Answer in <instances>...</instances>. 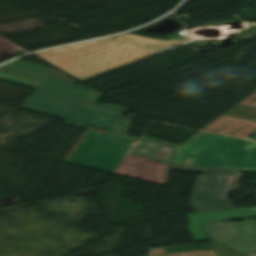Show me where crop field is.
Listing matches in <instances>:
<instances>
[{"label":"crop field","mask_w":256,"mask_h":256,"mask_svg":"<svg viewBox=\"0 0 256 256\" xmlns=\"http://www.w3.org/2000/svg\"><path fill=\"white\" fill-rule=\"evenodd\" d=\"M143 139L171 145L174 146V148L144 140L138 143L89 130L77 149L68 159V162L111 173H114L127 154L167 163L172 162L175 147L178 145L145 136H143Z\"/></svg>","instance_id":"obj_1"},{"label":"crop field","mask_w":256,"mask_h":256,"mask_svg":"<svg viewBox=\"0 0 256 256\" xmlns=\"http://www.w3.org/2000/svg\"><path fill=\"white\" fill-rule=\"evenodd\" d=\"M171 170L202 172L199 176L191 202L197 213L233 209L227 195L236 191L241 173L229 169L176 164Z\"/></svg>","instance_id":"obj_2"},{"label":"crop field","mask_w":256,"mask_h":256,"mask_svg":"<svg viewBox=\"0 0 256 256\" xmlns=\"http://www.w3.org/2000/svg\"><path fill=\"white\" fill-rule=\"evenodd\" d=\"M50 74V73H49ZM60 71L53 70L40 87L34 92L22 109L65 119L76 104L48 98L43 94L77 102L91 89L75 84L76 80L69 79Z\"/></svg>","instance_id":"obj_3"},{"label":"crop field","mask_w":256,"mask_h":256,"mask_svg":"<svg viewBox=\"0 0 256 256\" xmlns=\"http://www.w3.org/2000/svg\"><path fill=\"white\" fill-rule=\"evenodd\" d=\"M189 164L256 171V143L226 136Z\"/></svg>","instance_id":"obj_4"},{"label":"crop field","mask_w":256,"mask_h":256,"mask_svg":"<svg viewBox=\"0 0 256 256\" xmlns=\"http://www.w3.org/2000/svg\"><path fill=\"white\" fill-rule=\"evenodd\" d=\"M203 226L208 236L216 239L218 244L237 247L240 253L256 251V218L241 222L207 223Z\"/></svg>","instance_id":"obj_5"},{"label":"crop field","mask_w":256,"mask_h":256,"mask_svg":"<svg viewBox=\"0 0 256 256\" xmlns=\"http://www.w3.org/2000/svg\"><path fill=\"white\" fill-rule=\"evenodd\" d=\"M50 70L51 68L18 60L0 66V79L36 88Z\"/></svg>","instance_id":"obj_6"},{"label":"crop field","mask_w":256,"mask_h":256,"mask_svg":"<svg viewBox=\"0 0 256 256\" xmlns=\"http://www.w3.org/2000/svg\"><path fill=\"white\" fill-rule=\"evenodd\" d=\"M191 225L189 228L196 241L209 240L201 223L226 221L242 218H254L256 217V210L252 208L220 211L211 213H201L187 215Z\"/></svg>","instance_id":"obj_7"},{"label":"crop field","mask_w":256,"mask_h":256,"mask_svg":"<svg viewBox=\"0 0 256 256\" xmlns=\"http://www.w3.org/2000/svg\"><path fill=\"white\" fill-rule=\"evenodd\" d=\"M224 135L200 131L185 143L176 148L173 163L188 164Z\"/></svg>","instance_id":"obj_8"},{"label":"crop field","mask_w":256,"mask_h":256,"mask_svg":"<svg viewBox=\"0 0 256 256\" xmlns=\"http://www.w3.org/2000/svg\"><path fill=\"white\" fill-rule=\"evenodd\" d=\"M121 115L78 105L67 120L110 130L108 127Z\"/></svg>","instance_id":"obj_9"},{"label":"crop field","mask_w":256,"mask_h":256,"mask_svg":"<svg viewBox=\"0 0 256 256\" xmlns=\"http://www.w3.org/2000/svg\"><path fill=\"white\" fill-rule=\"evenodd\" d=\"M101 97H102V94H100L96 90L92 89L86 95V97L82 100L81 104L88 105V106L95 107V108H99V109L112 111V112H117V113H121V114H124L125 112L128 111V109L113 106V105H110V104L103 105V104L95 103Z\"/></svg>","instance_id":"obj_10"},{"label":"crop field","mask_w":256,"mask_h":256,"mask_svg":"<svg viewBox=\"0 0 256 256\" xmlns=\"http://www.w3.org/2000/svg\"><path fill=\"white\" fill-rule=\"evenodd\" d=\"M225 114L256 121V108L249 107V106L238 105L237 107L228 111Z\"/></svg>","instance_id":"obj_11"},{"label":"crop field","mask_w":256,"mask_h":256,"mask_svg":"<svg viewBox=\"0 0 256 256\" xmlns=\"http://www.w3.org/2000/svg\"><path fill=\"white\" fill-rule=\"evenodd\" d=\"M130 122L131 119L121 117L119 120L115 121L113 124L110 125V127H112L111 131L128 134Z\"/></svg>","instance_id":"obj_12"},{"label":"crop field","mask_w":256,"mask_h":256,"mask_svg":"<svg viewBox=\"0 0 256 256\" xmlns=\"http://www.w3.org/2000/svg\"><path fill=\"white\" fill-rule=\"evenodd\" d=\"M63 123L78 126V127H82V128H86V129H93V130L101 131V132H104V133L112 134V135H115V136L123 137V138L134 140V141L138 140L136 138H131L129 136H124V135H121V134H118V133H115V132H108V131H104V130H101V129H97V128H93V127H89V126H85V125H81V124L72 123L70 121H68V122L64 121Z\"/></svg>","instance_id":"obj_13"},{"label":"crop field","mask_w":256,"mask_h":256,"mask_svg":"<svg viewBox=\"0 0 256 256\" xmlns=\"http://www.w3.org/2000/svg\"><path fill=\"white\" fill-rule=\"evenodd\" d=\"M251 139H255V140H256V135H255V136H253Z\"/></svg>","instance_id":"obj_14"}]
</instances>
